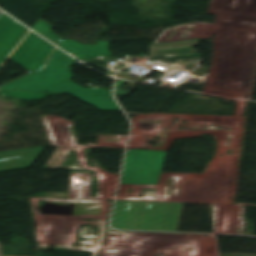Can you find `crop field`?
I'll return each mask as SVG.
<instances>
[{
	"mask_svg": "<svg viewBox=\"0 0 256 256\" xmlns=\"http://www.w3.org/2000/svg\"><path fill=\"white\" fill-rule=\"evenodd\" d=\"M182 204L116 201L111 221L115 229L176 231Z\"/></svg>",
	"mask_w": 256,
	"mask_h": 256,
	"instance_id": "8a807250",
	"label": "crop field"
},
{
	"mask_svg": "<svg viewBox=\"0 0 256 256\" xmlns=\"http://www.w3.org/2000/svg\"><path fill=\"white\" fill-rule=\"evenodd\" d=\"M75 62L76 60L70 58L62 51L56 49L43 69L5 86H2L0 89L40 91L67 79L73 78L69 71V67L75 64Z\"/></svg>",
	"mask_w": 256,
	"mask_h": 256,
	"instance_id": "ac0d7876",
	"label": "crop field"
},
{
	"mask_svg": "<svg viewBox=\"0 0 256 256\" xmlns=\"http://www.w3.org/2000/svg\"><path fill=\"white\" fill-rule=\"evenodd\" d=\"M54 46L40 39L34 33L29 32L21 44L11 54L9 59L34 71L38 70L46 62Z\"/></svg>",
	"mask_w": 256,
	"mask_h": 256,
	"instance_id": "34b2d1b8",
	"label": "crop field"
},
{
	"mask_svg": "<svg viewBox=\"0 0 256 256\" xmlns=\"http://www.w3.org/2000/svg\"><path fill=\"white\" fill-rule=\"evenodd\" d=\"M28 29L4 14L0 16V64Z\"/></svg>",
	"mask_w": 256,
	"mask_h": 256,
	"instance_id": "412701ff",
	"label": "crop field"
},
{
	"mask_svg": "<svg viewBox=\"0 0 256 256\" xmlns=\"http://www.w3.org/2000/svg\"><path fill=\"white\" fill-rule=\"evenodd\" d=\"M42 147L0 152V172L29 168Z\"/></svg>",
	"mask_w": 256,
	"mask_h": 256,
	"instance_id": "f4fd0767",
	"label": "crop field"
},
{
	"mask_svg": "<svg viewBox=\"0 0 256 256\" xmlns=\"http://www.w3.org/2000/svg\"><path fill=\"white\" fill-rule=\"evenodd\" d=\"M148 54L151 56V58L197 55L192 47L148 52Z\"/></svg>",
	"mask_w": 256,
	"mask_h": 256,
	"instance_id": "dd49c442",
	"label": "crop field"
},
{
	"mask_svg": "<svg viewBox=\"0 0 256 256\" xmlns=\"http://www.w3.org/2000/svg\"><path fill=\"white\" fill-rule=\"evenodd\" d=\"M198 41L199 39H192V40H183V41H175V42L157 43V44H152L149 48L151 49V51H155V50L195 46V45H198Z\"/></svg>",
	"mask_w": 256,
	"mask_h": 256,
	"instance_id": "e52e79f7",
	"label": "crop field"
},
{
	"mask_svg": "<svg viewBox=\"0 0 256 256\" xmlns=\"http://www.w3.org/2000/svg\"><path fill=\"white\" fill-rule=\"evenodd\" d=\"M1 95L22 98L23 100H40L47 95H62V94H48V93H31L13 90L12 92L0 91Z\"/></svg>",
	"mask_w": 256,
	"mask_h": 256,
	"instance_id": "d8731c3e",
	"label": "crop field"
},
{
	"mask_svg": "<svg viewBox=\"0 0 256 256\" xmlns=\"http://www.w3.org/2000/svg\"><path fill=\"white\" fill-rule=\"evenodd\" d=\"M0 256H3L2 249H1V244H0Z\"/></svg>",
	"mask_w": 256,
	"mask_h": 256,
	"instance_id": "5a996713",
	"label": "crop field"
}]
</instances>
